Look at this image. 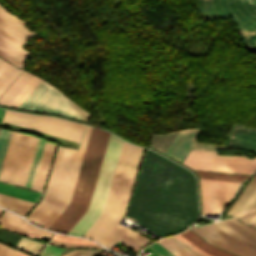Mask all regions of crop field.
<instances>
[{"label": "crop field", "instance_id": "crop-field-7", "mask_svg": "<svg viewBox=\"0 0 256 256\" xmlns=\"http://www.w3.org/2000/svg\"><path fill=\"white\" fill-rule=\"evenodd\" d=\"M2 121L78 142L80 141L84 126L55 117L18 113L8 110L5 111Z\"/></svg>", "mask_w": 256, "mask_h": 256}, {"label": "crop field", "instance_id": "crop-field-41", "mask_svg": "<svg viewBox=\"0 0 256 256\" xmlns=\"http://www.w3.org/2000/svg\"><path fill=\"white\" fill-rule=\"evenodd\" d=\"M145 249H147L149 252H151L153 255H158V254H156L154 251H152L150 248H148V247H146Z\"/></svg>", "mask_w": 256, "mask_h": 256}, {"label": "crop field", "instance_id": "crop-field-10", "mask_svg": "<svg viewBox=\"0 0 256 256\" xmlns=\"http://www.w3.org/2000/svg\"><path fill=\"white\" fill-rule=\"evenodd\" d=\"M208 242L240 256H256V246L236 239L218 229L214 224L191 228Z\"/></svg>", "mask_w": 256, "mask_h": 256}, {"label": "crop field", "instance_id": "crop-field-23", "mask_svg": "<svg viewBox=\"0 0 256 256\" xmlns=\"http://www.w3.org/2000/svg\"><path fill=\"white\" fill-rule=\"evenodd\" d=\"M0 192L4 193V194L15 196V197L23 198L26 200L34 201V202H36V200L40 196L39 193L16 188V187L5 185L2 183H0Z\"/></svg>", "mask_w": 256, "mask_h": 256}, {"label": "crop field", "instance_id": "crop-field-19", "mask_svg": "<svg viewBox=\"0 0 256 256\" xmlns=\"http://www.w3.org/2000/svg\"><path fill=\"white\" fill-rule=\"evenodd\" d=\"M34 202L15 198L0 193V205L25 215Z\"/></svg>", "mask_w": 256, "mask_h": 256}, {"label": "crop field", "instance_id": "crop-field-43", "mask_svg": "<svg viewBox=\"0 0 256 256\" xmlns=\"http://www.w3.org/2000/svg\"><path fill=\"white\" fill-rule=\"evenodd\" d=\"M6 184V183H5ZM10 185V184H9ZM14 186V185H13ZM21 188V187H20ZM25 189V188H24ZM29 190V189H28ZM31 191H33V190H31ZM35 192H37V191H35Z\"/></svg>", "mask_w": 256, "mask_h": 256}, {"label": "crop field", "instance_id": "crop-field-25", "mask_svg": "<svg viewBox=\"0 0 256 256\" xmlns=\"http://www.w3.org/2000/svg\"><path fill=\"white\" fill-rule=\"evenodd\" d=\"M0 223H2L1 228H5L14 232L26 222H24L18 216L5 211V213L0 218Z\"/></svg>", "mask_w": 256, "mask_h": 256}, {"label": "crop field", "instance_id": "crop-field-45", "mask_svg": "<svg viewBox=\"0 0 256 256\" xmlns=\"http://www.w3.org/2000/svg\"><path fill=\"white\" fill-rule=\"evenodd\" d=\"M0 111H1V109H0Z\"/></svg>", "mask_w": 256, "mask_h": 256}, {"label": "crop field", "instance_id": "crop-field-6", "mask_svg": "<svg viewBox=\"0 0 256 256\" xmlns=\"http://www.w3.org/2000/svg\"><path fill=\"white\" fill-rule=\"evenodd\" d=\"M37 140L33 136L11 133L0 180L25 186Z\"/></svg>", "mask_w": 256, "mask_h": 256}, {"label": "crop field", "instance_id": "crop-field-15", "mask_svg": "<svg viewBox=\"0 0 256 256\" xmlns=\"http://www.w3.org/2000/svg\"><path fill=\"white\" fill-rule=\"evenodd\" d=\"M55 146L56 145H53L47 142L45 143V147L43 150V154L40 160V164L38 167V171H37L32 189L43 191V187L48 174V170H49L52 156L55 150Z\"/></svg>", "mask_w": 256, "mask_h": 256}, {"label": "crop field", "instance_id": "crop-field-2", "mask_svg": "<svg viewBox=\"0 0 256 256\" xmlns=\"http://www.w3.org/2000/svg\"><path fill=\"white\" fill-rule=\"evenodd\" d=\"M143 150L123 142L104 209L84 235L110 249L124 233L141 247L150 242L134 230L118 224L126 210Z\"/></svg>", "mask_w": 256, "mask_h": 256}, {"label": "crop field", "instance_id": "crop-field-5", "mask_svg": "<svg viewBox=\"0 0 256 256\" xmlns=\"http://www.w3.org/2000/svg\"><path fill=\"white\" fill-rule=\"evenodd\" d=\"M123 140L110 135V139L107 145V149L104 155L102 166L99 172L97 183L94 189V193L91 199V203L79 219V221L70 230V234L83 236L90 226L98 218L107 196V192L110 186V182L113 176V172L116 166V162L119 156V152L122 146Z\"/></svg>", "mask_w": 256, "mask_h": 256}, {"label": "crop field", "instance_id": "crop-field-22", "mask_svg": "<svg viewBox=\"0 0 256 256\" xmlns=\"http://www.w3.org/2000/svg\"><path fill=\"white\" fill-rule=\"evenodd\" d=\"M20 70L0 59V94L17 77L21 72Z\"/></svg>", "mask_w": 256, "mask_h": 256}, {"label": "crop field", "instance_id": "crop-field-24", "mask_svg": "<svg viewBox=\"0 0 256 256\" xmlns=\"http://www.w3.org/2000/svg\"><path fill=\"white\" fill-rule=\"evenodd\" d=\"M44 141L42 140H38V144H37V147H36V151H35V154H34V158H33V161H32V165H31V168H30V172H29V175H28V179H27V182H26V188H32V184H33V181H34V177H35V174H36V171H37V167H38V164H39V160H40V157H41V153H42V150H43V147H44Z\"/></svg>", "mask_w": 256, "mask_h": 256}, {"label": "crop field", "instance_id": "crop-field-13", "mask_svg": "<svg viewBox=\"0 0 256 256\" xmlns=\"http://www.w3.org/2000/svg\"><path fill=\"white\" fill-rule=\"evenodd\" d=\"M228 214L256 227V175L228 211Z\"/></svg>", "mask_w": 256, "mask_h": 256}, {"label": "crop field", "instance_id": "crop-field-39", "mask_svg": "<svg viewBox=\"0 0 256 256\" xmlns=\"http://www.w3.org/2000/svg\"><path fill=\"white\" fill-rule=\"evenodd\" d=\"M177 239H179L181 242H183L185 245H187L188 247H190L191 249H193L194 251H196L197 253H199L201 256H207L205 254H203L202 252H200L199 250H197L195 247H193L191 244H189L187 241H185L184 239H182L180 236L178 235H174Z\"/></svg>", "mask_w": 256, "mask_h": 256}, {"label": "crop field", "instance_id": "crop-field-32", "mask_svg": "<svg viewBox=\"0 0 256 256\" xmlns=\"http://www.w3.org/2000/svg\"><path fill=\"white\" fill-rule=\"evenodd\" d=\"M103 251H96V250H74L62 256H94L99 254Z\"/></svg>", "mask_w": 256, "mask_h": 256}, {"label": "crop field", "instance_id": "crop-field-12", "mask_svg": "<svg viewBox=\"0 0 256 256\" xmlns=\"http://www.w3.org/2000/svg\"><path fill=\"white\" fill-rule=\"evenodd\" d=\"M26 22L18 19L0 5V35L22 48L35 33L23 26Z\"/></svg>", "mask_w": 256, "mask_h": 256}, {"label": "crop field", "instance_id": "crop-field-4", "mask_svg": "<svg viewBox=\"0 0 256 256\" xmlns=\"http://www.w3.org/2000/svg\"><path fill=\"white\" fill-rule=\"evenodd\" d=\"M206 19L232 16L246 48L256 51V0H197ZM224 145L256 153V130L232 125Z\"/></svg>", "mask_w": 256, "mask_h": 256}, {"label": "crop field", "instance_id": "crop-field-30", "mask_svg": "<svg viewBox=\"0 0 256 256\" xmlns=\"http://www.w3.org/2000/svg\"><path fill=\"white\" fill-rule=\"evenodd\" d=\"M9 131L0 130V168L5 154V150L10 137Z\"/></svg>", "mask_w": 256, "mask_h": 256}, {"label": "crop field", "instance_id": "crop-field-44", "mask_svg": "<svg viewBox=\"0 0 256 256\" xmlns=\"http://www.w3.org/2000/svg\"><path fill=\"white\" fill-rule=\"evenodd\" d=\"M2 212V209H0V213Z\"/></svg>", "mask_w": 256, "mask_h": 256}, {"label": "crop field", "instance_id": "crop-field-33", "mask_svg": "<svg viewBox=\"0 0 256 256\" xmlns=\"http://www.w3.org/2000/svg\"><path fill=\"white\" fill-rule=\"evenodd\" d=\"M53 239L72 242V243H90V244H94L90 241H86V240H82V239H78V238H74V237H69V236H63V235H59V234H56Z\"/></svg>", "mask_w": 256, "mask_h": 256}, {"label": "crop field", "instance_id": "crop-field-42", "mask_svg": "<svg viewBox=\"0 0 256 256\" xmlns=\"http://www.w3.org/2000/svg\"><path fill=\"white\" fill-rule=\"evenodd\" d=\"M20 256H27V255H25V254H23V253H20Z\"/></svg>", "mask_w": 256, "mask_h": 256}, {"label": "crop field", "instance_id": "crop-field-11", "mask_svg": "<svg viewBox=\"0 0 256 256\" xmlns=\"http://www.w3.org/2000/svg\"><path fill=\"white\" fill-rule=\"evenodd\" d=\"M87 121L90 114L77 106L55 87L35 109Z\"/></svg>", "mask_w": 256, "mask_h": 256}, {"label": "crop field", "instance_id": "crop-field-21", "mask_svg": "<svg viewBox=\"0 0 256 256\" xmlns=\"http://www.w3.org/2000/svg\"><path fill=\"white\" fill-rule=\"evenodd\" d=\"M31 77L32 75L23 71L19 77L10 85V87L1 95L0 103L7 105Z\"/></svg>", "mask_w": 256, "mask_h": 256}, {"label": "crop field", "instance_id": "crop-field-1", "mask_svg": "<svg viewBox=\"0 0 256 256\" xmlns=\"http://www.w3.org/2000/svg\"><path fill=\"white\" fill-rule=\"evenodd\" d=\"M197 212L193 174L146 150L127 215L165 236L184 229Z\"/></svg>", "mask_w": 256, "mask_h": 256}, {"label": "crop field", "instance_id": "crop-field-8", "mask_svg": "<svg viewBox=\"0 0 256 256\" xmlns=\"http://www.w3.org/2000/svg\"><path fill=\"white\" fill-rule=\"evenodd\" d=\"M217 152L190 150L183 164L192 169L252 174L256 160L237 156L216 155Z\"/></svg>", "mask_w": 256, "mask_h": 256}, {"label": "crop field", "instance_id": "crop-field-9", "mask_svg": "<svg viewBox=\"0 0 256 256\" xmlns=\"http://www.w3.org/2000/svg\"><path fill=\"white\" fill-rule=\"evenodd\" d=\"M202 214L219 212L232 198L239 184L200 180Z\"/></svg>", "mask_w": 256, "mask_h": 256}, {"label": "crop field", "instance_id": "crop-field-26", "mask_svg": "<svg viewBox=\"0 0 256 256\" xmlns=\"http://www.w3.org/2000/svg\"><path fill=\"white\" fill-rule=\"evenodd\" d=\"M39 81L40 79L33 76L30 81L21 89V91L12 99L8 106L18 107Z\"/></svg>", "mask_w": 256, "mask_h": 256}, {"label": "crop field", "instance_id": "crop-field-36", "mask_svg": "<svg viewBox=\"0 0 256 256\" xmlns=\"http://www.w3.org/2000/svg\"><path fill=\"white\" fill-rule=\"evenodd\" d=\"M149 246L152 247L155 251H157L162 256H174L172 253H170L168 250H166L164 247H162L157 242H155Z\"/></svg>", "mask_w": 256, "mask_h": 256}, {"label": "crop field", "instance_id": "crop-field-31", "mask_svg": "<svg viewBox=\"0 0 256 256\" xmlns=\"http://www.w3.org/2000/svg\"><path fill=\"white\" fill-rule=\"evenodd\" d=\"M50 244L58 245V246H63V247H78V248H100L104 249L103 247L99 245H90V244H72V243H67V242H61V241H55L51 240ZM106 250V249H105Z\"/></svg>", "mask_w": 256, "mask_h": 256}, {"label": "crop field", "instance_id": "crop-field-3", "mask_svg": "<svg viewBox=\"0 0 256 256\" xmlns=\"http://www.w3.org/2000/svg\"><path fill=\"white\" fill-rule=\"evenodd\" d=\"M91 127L86 126L75 159V149L58 147L53 168L43 199L26 218L50 228L71 200L79 169L88 143Z\"/></svg>", "mask_w": 256, "mask_h": 256}, {"label": "crop field", "instance_id": "crop-field-37", "mask_svg": "<svg viewBox=\"0 0 256 256\" xmlns=\"http://www.w3.org/2000/svg\"><path fill=\"white\" fill-rule=\"evenodd\" d=\"M11 248L0 244V256H10Z\"/></svg>", "mask_w": 256, "mask_h": 256}, {"label": "crop field", "instance_id": "crop-field-18", "mask_svg": "<svg viewBox=\"0 0 256 256\" xmlns=\"http://www.w3.org/2000/svg\"><path fill=\"white\" fill-rule=\"evenodd\" d=\"M52 88L41 80L19 107L34 110Z\"/></svg>", "mask_w": 256, "mask_h": 256}, {"label": "crop field", "instance_id": "crop-field-20", "mask_svg": "<svg viewBox=\"0 0 256 256\" xmlns=\"http://www.w3.org/2000/svg\"><path fill=\"white\" fill-rule=\"evenodd\" d=\"M196 172L198 173L200 179H206V180L241 182L250 177V175H245V174H233V173L200 171V170H196Z\"/></svg>", "mask_w": 256, "mask_h": 256}, {"label": "crop field", "instance_id": "crop-field-16", "mask_svg": "<svg viewBox=\"0 0 256 256\" xmlns=\"http://www.w3.org/2000/svg\"><path fill=\"white\" fill-rule=\"evenodd\" d=\"M182 238L187 240L189 243H191L193 246H195L197 249L202 251L203 253L210 255V256H236L231 253L225 252L223 250H220L218 248H215L208 244L206 241H204L202 238L197 236L195 233H193L191 230H186L183 233L179 234Z\"/></svg>", "mask_w": 256, "mask_h": 256}, {"label": "crop field", "instance_id": "crop-field-28", "mask_svg": "<svg viewBox=\"0 0 256 256\" xmlns=\"http://www.w3.org/2000/svg\"><path fill=\"white\" fill-rule=\"evenodd\" d=\"M15 233H18V234H21V235H24V236H26L27 234L31 233V234L38 235V236H41V237H44V238H48V239H50V237L53 234L51 232L38 229V228H36L34 226H31V225H29L27 223L24 226H22ZM31 234H29L27 237L38 239V240L41 239V237L34 236V235H31Z\"/></svg>", "mask_w": 256, "mask_h": 256}, {"label": "crop field", "instance_id": "crop-field-35", "mask_svg": "<svg viewBox=\"0 0 256 256\" xmlns=\"http://www.w3.org/2000/svg\"><path fill=\"white\" fill-rule=\"evenodd\" d=\"M63 249L47 246L42 252V256H59Z\"/></svg>", "mask_w": 256, "mask_h": 256}, {"label": "crop field", "instance_id": "crop-field-17", "mask_svg": "<svg viewBox=\"0 0 256 256\" xmlns=\"http://www.w3.org/2000/svg\"><path fill=\"white\" fill-rule=\"evenodd\" d=\"M23 50L0 37V56L19 67H22L28 55Z\"/></svg>", "mask_w": 256, "mask_h": 256}, {"label": "crop field", "instance_id": "crop-field-34", "mask_svg": "<svg viewBox=\"0 0 256 256\" xmlns=\"http://www.w3.org/2000/svg\"><path fill=\"white\" fill-rule=\"evenodd\" d=\"M133 241L124 234L118 242L137 252V250L141 247H139L136 243H134L135 241Z\"/></svg>", "mask_w": 256, "mask_h": 256}, {"label": "crop field", "instance_id": "crop-field-14", "mask_svg": "<svg viewBox=\"0 0 256 256\" xmlns=\"http://www.w3.org/2000/svg\"><path fill=\"white\" fill-rule=\"evenodd\" d=\"M200 131L201 129H189L179 131L173 142L166 150L165 154L179 161H182Z\"/></svg>", "mask_w": 256, "mask_h": 256}, {"label": "crop field", "instance_id": "crop-field-38", "mask_svg": "<svg viewBox=\"0 0 256 256\" xmlns=\"http://www.w3.org/2000/svg\"><path fill=\"white\" fill-rule=\"evenodd\" d=\"M170 238L172 240H174L176 243H178L180 246H182L184 249H186L188 252H190L191 254L195 255V256H200L199 254H197L196 252H194L193 250H191L190 248H188L187 246H185L183 243H181L179 240H177L175 237L170 236Z\"/></svg>", "mask_w": 256, "mask_h": 256}, {"label": "crop field", "instance_id": "crop-field-29", "mask_svg": "<svg viewBox=\"0 0 256 256\" xmlns=\"http://www.w3.org/2000/svg\"><path fill=\"white\" fill-rule=\"evenodd\" d=\"M157 242H159L176 256H193L169 238L161 239Z\"/></svg>", "mask_w": 256, "mask_h": 256}, {"label": "crop field", "instance_id": "crop-field-27", "mask_svg": "<svg viewBox=\"0 0 256 256\" xmlns=\"http://www.w3.org/2000/svg\"><path fill=\"white\" fill-rule=\"evenodd\" d=\"M43 246L44 245L41 243L21 237L18 244L16 245V248L28 254L36 256L43 248Z\"/></svg>", "mask_w": 256, "mask_h": 256}, {"label": "crop field", "instance_id": "crop-field-40", "mask_svg": "<svg viewBox=\"0 0 256 256\" xmlns=\"http://www.w3.org/2000/svg\"><path fill=\"white\" fill-rule=\"evenodd\" d=\"M19 251H15V250H13V252H12V255L11 256H19Z\"/></svg>", "mask_w": 256, "mask_h": 256}]
</instances>
